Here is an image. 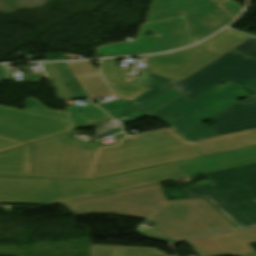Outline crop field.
Masks as SVG:
<instances>
[{"label": "crop field", "mask_w": 256, "mask_h": 256, "mask_svg": "<svg viewBox=\"0 0 256 256\" xmlns=\"http://www.w3.org/2000/svg\"><path fill=\"white\" fill-rule=\"evenodd\" d=\"M75 133L33 144L34 177L95 179L256 145V130L193 144L171 130H160L99 147L70 139Z\"/></svg>", "instance_id": "1"}, {"label": "crop field", "mask_w": 256, "mask_h": 256, "mask_svg": "<svg viewBox=\"0 0 256 256\" xmlns=\"http://www.w3.org/2000/svg\"><path fill=\"white\" fill-rule=\"evenodd\" d=\"M64 205L76 216L103 213L155 221L164 228L159 240L170 243L235 228L204 198L167 201L159 184Z\"/></svg>", "instance_id": "2"}, {"label": "crop field", "mask_w": 256, "mask_h": 256, "mask_svg": "<svg viewBox=\"0 0 256 256\" xmlns=\"http://www.w3.org/2000/svg\"><path fill=\"white\" fill-rule=\"evenodd\" d=\"M182 177L169 164L94 181L0 178V202L50 204Z\"/></svg>", "instance_id": "3"}, {"label": "crop field", "mask_w": 256, "mask_h": 256, "mask_svg": "<svg viewBox=\"0 0 256 256\" xmlns=\"http://www.w3.org/2000/svg\"><path fill=\"white\" fill-rule=\"evenodd\" d=\"M250 95L240 86L226 81L192 101L183 95L151 116L170 125V129L190 142L198 137L217 136L201 122L213 119L235 105L237 98Z\"/></svg>", "instance_id": "4"}, {"label": "crop field", "mask_w": 256, "mask_h": 256, "mask_svg": "<svg viewBox=\"0 0 256 256\" xmlns=\"http://www.w3.org/2000/svg\"><path fill=\"white\" fill-rule=\"evenodd\" d=\"M202 185L244 226L256 224V163L205 174Z\"/></svg>", "instance_id": "5"}, {"label": "crop field", "mask_w": 256, "mask_h": 256, "mask_svg": "<svg viewBox=\"0 0 256 256\" xmlns=\"http://www.w3.org/2000/svg\"><path fill=\"white\" fill-rule=\"evenodd\" d=\"M226 80L256 95V60L229 51L172 87L192 100Z\"/></svg>", "instance_id": "6"}, {"label": "crop field", "mask_w": 256, "mask_h": 256, "mask_svg": "<svg viewBox=\"0 0 256 256\" xmlns=\"http://www.w3.org/2000/svg\"><path fill=\"white\" fill-rule=\"evenodd\" d=\"M216 5L211 0H156L147 23L184 16L194 43L232 21Z\"/></svg>", "instance_id": "7"}, {"label": "crop field", "mask_w": 256, "mask_h": 256, "mask_svg": "<svg viewBox=\"0 0 256 256\" xmlns=\"http://www.w3.org/2000/svg\"><path fill=\"white\" fill-rule=\"evenodd\" d=\"M72 129L65 111L16 110L0 106V135L36 142Z\"/></svg>", "instance_id": "8"}, {"label": "crop field", "mask_w": 256, "mask_h": 256, "mask_svg": "<svg viewBox=\"0 0 256 256\" xmlns=\"http://www.w3.org/2000/svg\"><path fill=\"white\" fill-rule=\"evenodd\" d=\"M145 29H151L156 36L142 38ZM191 44L183 17L143 25L138 38L133 42L101 47L103 57L144 55L166 52Z\"/></svg>", "instance_id": "9"}, {"label": "crop field", "mask_w": 256, "mask_h": 256, "mask_svg": "<svg viewBox=\"0 0 256 256\" xmlns=\"http://www.w3.org/2000/svg\"><path fill=\"white\" fill-rule=\"evenodd\" d=\"M219 55L194 46L169 54L147 57V60L152 73L179 81Z\"/></svg>", "instance_id": "10"}, {"label": "crop field", "mask_w": 256, "mask_h": 256, "mask_svg": "<svg viewBox=\"0 0 256 256\" xmlns=\"http://www.w3.org/2000/svg\"><path fill=\"white\" fill-rule=\"evenodd\" d=\"M253 162H256V147L173 163L172 165L186 177Z\"/></svg>", "instance_id": "11"}, {"label": "crop field", "mask_w": 256, "mask_h": 256, "mask_svg": "<svg viewBox=\"0 0 256 256\" xmlns=\"http://www.w3.org/2000/svg\"><path fill=\"white\" fill-rule=\"evenodd\" d=\"M245 102H239L213 119L217 126L210 128L219 135L256 128V105H246Z\"/></svg>", "instance_id": "12"}, {"label": "crop field", "mask_w": 256, "mask_h": 256, "mask_svg": "<svg viewBox=\"0 0 256 256\" xmlns=\"http://www.w3.org/2000/svg\"><path fill=\"white\" fill-rule=\"evenodd\" d=\"M0 176L33 177L32 144L1 152Z\"/></svg>", "instance_id": "13"}, {"label": "crop field", "mask_w": 256, "mask_h": 256, "mask_svg": "<svg viewBox=\"0 0 256 256\" xmlns=\"http://www.w3.org/2000/svg\"><path fill=\"white\" fill-rule=\"evenodd\" d=\"M116 65L117 64L114 63V59L103 60L101 65V71L113 88L116 96L130 101L149 90L135 84L122 81L128 67H116Z\"/></svg>", "instance_id": "14"}, {"label": "crop field", "mask_w": 256, "mask_h": 256, "mask_svg": "<svg viewBox=\"0 0 256 256\" xmlns=\"http://www.w3.org/2000/svg\"><path fill=\"white\" fill-rule=\"evenodd\" d=\"M215 237L231 255L240 256L255 252L245 241L256 238V230L253 227L216 235Z\"/></svg>", "instance_id": "15"}, {"label": "crop field", "mask_w": 256, "mask_h": 256, "mask_svg": "<svg viewBox=\"0 0 256 256\" xmlns=\"http://www.w3.org/2000/svg\"><path fill=\"white\" fill-rule=\"evenodd\" d=\"M168 256L154 248L91 245V256Z\"/></svg>", "instance_id": "16"}, {"label": "crop field", "mask_w": 256, "mask_h": 256, "mask_svg": "<svg viewBox=\"0 0 256 256\" xmlns=\"http://www.w3.org/2000/svg\"><path fill=\"white\" fill-rule=\"evenodd\" d=\"M73 124L74 129L86 126L92 123L110 119L101 109L94 106L90 101L86 105L78 107L65 108ZM83 109L81 115L77 110Z\"/></svg>", "instance_id": "17"}, {"label": "crop field", "mask_w": 256, "mask_h": 256, "mask_svg": "<svg viewBox=\"0 0 256 256\" xmlns=\"http://www.w3.org/2000/svg\"><path fill=\"white\" fill-rule=\"evenodd\" d=\"M248 38L249 36L227 29L198 46L223 54Z\"/></svg>", "instance_id": "18"}, {"label": "crop field", "mask_w": 256, "mask_h": 256, "mask_svg": "<svg viewBox=\"0 0 256 256\" xmlns=\"http://www.w3.org/2000/svg\"><path fill=\"white\" fill-rule=\"evenodd\" d=\"M176 81L168 80L156 75L151 74L150 72H146L141 78H139L135 84L151 89L150 91L144 93L143 95L137 97L131 102L139 105L147 99L155 96L162 90L166 89Z\"/></svg>", "instance_id": "19"}, {"label": "crop field", "mask_w": 256, "mask_h": 256, "mask_svg": "<svg viewBox=\"0 0 256 256\" xmlns=\"http://www.w3.org/2000/svg\"><path fill=\"white\" fill-rule=\"evenodd\" d=\"M179 95H181V94H179L177 91H175L173 88L170 87L167 90H165L164 92H162L161 94H159L158 96H156L155 98H153L152 100H150L149 102H147L146 104H144L143 106H141V107L139 106L140 108H138L120 118H117V119L120 122H124L126 120H130L133 118L147 115L148 113H151L159 106L163 105L164 103L168 102L169 100H171ZM137 112H139V114L134 115Z\"/></svg>", "instance_id": "20"}, {"label": "crop field", "mask_w": 256, "mask_h": 256, "mask_svg": "<svg viewBox=\"0 0 256 256\" xmlns=\"http://www.w3.org/2000/svg\"><path fill=\"white\" fill-rule=\"evenodd\" d=\"M199 256H229L214 236L188 242Z\"/></svg>", "instance_id": "21"}, {"label": "crop field", "mask_w": 256, "mask_h": 256, "mask_svg": "<svg viewBox=\"0 0 256 256\" xmlns=\"http://www.w3.org/2000/svg\"><path fill=\"white\" fill-rule=\"evenodd\" d=\"M77 80L90 98L112 95L99 74L79 77Z\"/></svg>", "instance_id": "22"}, {"label": "crop field", "mask_w": 256, "mask_h": 256, "mask_svg": "<svg viewBox=\"0 0 256 256\" xmlns=\"http://www.w3.org/2000/svg\"><path fill=\"white\" fill-rule=\"evenodd\" d=\"M190 198L205 197V199L211 203L225 218H227L236 228L243 225L234 218L220 203H218L208 192H206L201 186H195L182 190Z\"/></svg>", "instance_id": "23"}, {"label": "crop field", "mask_w": 256, "mask_h": 256, "mask_svg": "<svg viewBox=\"0 0 256 256\" xmlns=\"http://www.w3.org/2000/svg\"><path fill=\"white\" fill-rule=\"evenodd\" d=\"M49 78L51 79L54 87L58 91L62 101L73 100L75 97L55 67L54 63L43 64Z\"/></svg>", "instance_id": "24"}, {"label": "crop field", "mask_w": 256, "mask_h": 256, "mask_svg": "<svg viewBox=\"0 0 256 256\" xmlns=\"http://www.w3.org/2000/svg\"><path fill=\"white\" fill-rule=\"evenodd\" d=\"M55 65L65 79L68 86L70 87L71 91L75 95L76 99L88 98L82 87H80L77 83L74 75L72 74L66 63H55Z\"/></svg>", "instance_id": "25"}, {"label": "crop field", "mask_w": 256, "mask_h": 256, "mask_svg": "<svg viewBox=\"0 0 256 256\" xmlns=\"http://www.w3.org/2000/svg\"><path fill=\"white\" fill-rule=\"evenodd\" d=\"M99 106H101L106 112H108L113 117L124 114L130 111L131 109L137 107V105L122 99L105 102L99 104Z\"/></svg>", "instance_id": "26"}, {"label": "crop field", "mask_w": 256, "mask_h": 256, "mask_svg": "<svg viewBox=\"0 0 256 256\" xmlns=\"http://www.w3.org/2000/svg\"><path fill=\"white\" fill-rule=\"evenodd\" d=\"M92 126L96 128V135L94 136L96 138L106 137L108 135L122 131L120 125L113 119Z\"/></svg>", "instance_id": "27"}, {"label": "crop field", "mask_w": 256, "mask_h": 256, "mask_svg": "<svg viewBox=\"0 0 256 256\" xmlns=\"http://www.w3.org/2000/svg\"><path fill=\"white\" fill-rule=\"evenodd\" d=\"M67 65L75 77L98 73L92 61L69 62Z\"/></svg>", "instance_id": "28"}, {"label": "crop field", "mask_w": 256, "mask_h": 256, "mask_svg": "<svg viewBox=\"0 0 256 256\" xmlns=\"http://www.w3.org/2000/svg\"><path fill=\"white\" fill-rule=\"evenodd\" d=\"M231 51L252 57L256 59V38L251 37L244 41L237 47L233 48Z\"/></svg>", "instance_id": "29"}, {"label": "crop field", "mask_w": 256, "mask_h": 256, "mask_svg": "<svg viewBox=\"0 0 256 256\" xmlns=\"http://www.w3.org/2000/svg\"><path fill=\"white\" fill-rule=\"evenodd\" d=\"M219 6L233 19L236 18L240 12L242 11L243 7L239 6L235 1L230 0L227 2H223L219 4Z\"/></svg>", "instance_id": "30"}, {"label": "crop field", "mask_w": 256, "mask_h": 256, "mask_svg": "<svg viewBox=\"0 0 256 256\" xmlns=\"http://www.w3.org/2000/svg\"><path fill=\"white\" fill-rule=\"evenodd\" d=\"M27 143H29V142L0 136V152L4 151V150H7V149L17 147V146H20V145H23V144H27Z\"/></svg>", "instance_id": "31"}, {"label": "crop field", "mask_w": 256, "mask_h": 256, "mask_svg": "<svg viewBox=\"0 0 256 256\" xmlns=\"http://www.w3.org/2000/svg\"><path fill=\"white\" fill-rule=\"evenodd\" d=\"M24 109H42V110H50L45 108L42 104L34 100L33 98H26V103Z\"/></svg>", "instance_id": "32"}, {"label": "crop field", "mask_w": 256, "mask_h": 256, "mask_svg": "<svg viewBox=\"0 0 256 256\" xmlns=\"http://www.w3.org/2000/svg\"><path fill=\"white\" fill-rule=\"evenodd\" d=\"M8 79V74L5 66L0 65V80Z\"/></svg>", "instance_id": "33"}, {"label": "crop field", "mask_w": 256, "mask_h": 256, "mask_svg": "<svg viewBox=\"0 0 256 256\" xmlns=\"http://www.w3.org/2000/svg\"><path fill=\"white\" fill-rule=\"evenodd\" d=\"M206 183H210V181H209L208 179H206V180H202V181L195 182L194 184H196V185H202V184H206Z\"/></svg>", "instance_id": "34"}, {"label": "crop field", "mask_w": 256, "mask_h": 256, "mask_svg": "<svg viewBox=\"0 0 256 256\" xmlns=\"http://www.w3.org/2000/svg\"><path fill=\"white\" fill-rule=\"evenodd\" d=\"M146 72V71H145ZM145 72H141L131 83H134L139 77H141Z\"/></svg>", "instance_id": "35"}, {"label": "crop field", "mask_w": 256, "mask_h": 256, "mask_svg": "<svg viewBox=\"0 0 256 256\" xmlns=\"http://www.w3.org/2000/svg\"><path fill=\"white\" fill-rule=\"evenodd\" d=\"M217 4L226 0H214Z\"/></svg>", "instance_id": "36"}, {"label": "crop field", "mask_w": 256, "mask_h": 256, "mask_svg": "<svg viewBox=\"0 0 256 256\" xmlns=\"http://www.w3.org/2000/svg\"><path fill=\"white\" fill-rule=\"evenodd\" d=\"M245 256H256V253H254V254H249V255H245Z\"/></svg>", "instance_id": "37"}, {"label": "crop field", "mask_w": 256, "mask_h": 256, "mask_svg": "<svg viewBox=\"0 0 256 256\" xmlns=\"http://www.w3.org/2000/svg\"><path fill=\"white\" fill-rule=\"evenodd\" d=\"M254 228L256 229V226Z\"/></svg>", "instance_id": "38"}]
</instances>
